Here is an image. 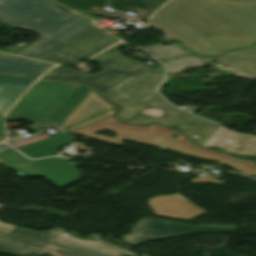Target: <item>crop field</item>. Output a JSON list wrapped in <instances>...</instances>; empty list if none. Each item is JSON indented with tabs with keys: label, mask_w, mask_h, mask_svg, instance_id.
<instances>
[{
	"label": "crop field",
	"mask_w": 256,
	"mask_h": 256,
	"mask_svg": "<svg viewBox=\"0 0 256 256\" xmlns=\"http://www.w3.org/2000/svg\"><path fill=\"white\" fill-rule=\"evenodd\" d=\"M151 23L193 54L216 56L256 41V0H171Z\"/></svg>",
	"instance_id": "crop-field-1"
},
{
	"label": "crop field",
	"mask_w": 256,
	"mask_h": 256,
	"mask_svg": "<svg viewBox=\"0 0 256 256\" xmlns=\"http://www.w3.org/2000/svg\"><path fill=\"white\" fill-rule=\"evenodd\" d=\"M162 77L161 72L150 69L102 97L118 109L120 122L141 125L158 122L202 146L219 126L165 102L154 90Z\"/></svg>",
	"instance_id": "crop-field-2"
},
{
	"label": "crop field",
	"mask_w": 256,
	"mask_h": 256,
	"mask_svg": "<svg viewBox=\"0 0 256 256\" xmlns=\"http://www.w3.org/2000/svg\"><path fill=\"white\" fill-rule=\"evenodd\" d=\"M111 107L84 86L40 80L10 111L7 120L37 123L46 118V122L64 129Z\"/></svg>",
	"instance_id": "crop-field-3"
},
{
	"label": "crop field",
	"mask_w": 256,
	"mask_h": 256,
	"mask_svg": "<svg viewBox=\"0 0 256 256\" xmlns=\"http://www.w3.org/2000/svg\"><path fill=\"white\" fill-rule=\"evenodd\" d=\"M0 20L39 35L38 42L17 53L33 59L94 27L46 0H0Z\"/></svg>",
	"instance_id": "crop-field-4"
},
{
	"label": "crop field",
	"mask_w": 256,
	"mask_h": 256,
	"mask_svg": "<svg viewBox=\"0 0 256 256\" xmlns=\"http://www.w3.org/2000/svg\"><path fill=\"white\" fill-rule=\"evenodd\" d=\"M118 48L116 45L91 59L103 65V70L95 75H87L63 66H57L50 70L43 79L79 82L95 89L101 95L124 80L149 68L124 57Z\"/></svg>",
	"instance_id": "crop-field-5"
},
{
	"label": "crop field",
	"mask_w": 256,
	"mask_h": 256,
	"mask_svg": "<svg viewBox=\"0 0 256 256\" xmlns=\"http://www.w3.org/2000/svg\"><path fill=\"white\" fill-rule=\"evenodd\" d=\"M0 160L23 177L44 176L60 188L80 178L79 170L61 157L29 161L12 149L0 154Z\"/></svg>",
	"instance_id": "crop-field-6"
},
{
	"label": "crop field",
	"mask_w": 256,
	"mask_h": 256,
	"mask_svg": "<svg viewBox=\"0 0 256 256\" xmlns=\"http://www.w3.org/2000/svg\"><path fill=\"white\" fill-rule=\"evenodd\" d=\"M237 226H193L174 222L142 218L130 231L123 236V242L130 245L151 240L166 239L193 233L232 232Z\"/></svg>",
	"instance_id": "crop-field-7"
},
{
	"label": "crop field",
	"mask_w": 256,
	"mask_h": 256,
	"mask_svg": "<svg viewBox=\"0 0 256 256\" xmlns=\"http://www.w3.org/2000/svg\"><path fill=\"white\" fill-rule=\"evenodd\" d=\"M116 41H118L116 38L99 31L95 27L41 59L53 63L75 61L94 55ZM69 57H72V59H69Z\"/></svg>",
	"instance_id": "crop-field-8"
},
{
	"label": "crop field",
	"mask_w": 256,
	"mask_h": 256,
	"mask_svg": "<svg viewBox=\"0 0 256 256\" xmlns=\"http://www.w3.org/2000/svg\"><path fill=\"white\" fill-rule=\"evenodd\" d=\"M53 244L102 256H139L107 241L85 240L66 231L60 233Z\"/></svg>",
	"instance_id": "crop-field-9"
},
{
	"label": "crop field",
	"mask_w": 256,
	"mask_h": 256,
	"mask_svg": "<svg viewBox=\"0 0 256 256\" xmlns=\"http://www.w3.org/2000/svg\"><path fill=\"white\" fill-rule=\"evenodd\" d=\"M203 146H218L225 151L256 157V136L236 133L221 126Z\"/></svg>",
	"instance_id": "crop-field-10"
},
{
	"label": "crop field",
	"mask_w": 256,
	"mask_h": 256,
	"mask_svg": "<svg viewBox=\"0 0 256 256\" xmlns=\"http://www.w3.org/2000/svg\"><path fill=\"white\" fill-rule=\"evenodd\" d=\"M196 57L203 62L215 60L243 75L256 78V44L248 48L230 50L219 57Z\"/></svg>",
	"instance_id": "crop-field-11"
},
{
	"label": "crop field",
	"mask_w": 256,
	"mask_h": 256,
	"mask_svg": "<svg viewBox=\"0 0 256 256\" xmlns=\"http://www.w3.org/2000/svg\"><path fill=\"white\" fill-rule=\"evenodd\" d=\"M50 66L52 65L0 52V74L36 78Z\"/></svg>",
	"instance_id": "crop-field-12"
},
{
	"label": "crop field",
	"mask_w": 256,
	"mask_h": 256,
	"mask_svg": "<svg viewBox=\"0 0 256 256\" xmlns=\"http://www.w3.org/2000/svg\"><path fill=\"white\" fill-rule=\"evenodd\" d=\"M0 252L15 256L47 254L48 244L0 233Z\"/></svg>",
	"instance_id": "crop-field-13"
},
{
	"label": "crop field",
	"mask_w": 256,
	"mask_h": 256,
	"mask_svg": "<svg viewBox=\"0 0 256 256\" xmlns=\"http://www.w3.org/2000/svg\"><path fill=\"white\" fill-rule=\"evenodd\" d=\"M33 81L32 79L0 76V114L4 115Z\"/></svg>",
	"instance_id": "crop-field-14"
},
{
	"label": "crop field",
	"mask_w": 256,
	"mask_h": 256,
	"mask_svg": "<svg viewBox=\"0 0 256 256\" xmlns=\"http://www.w3.org/2000/svg\"><path fill=\"white\" fill-rule=\"evenodd\" d=\"M74 139V137L62 132L60 135L48 140L40 141L31 145L19 148L25 155L32 158H39L56 154L57 147ZM73 141V140H72Z\"/></svg>",
	"instance_id": "crop-field-15"
},
{
	"label": "crop field",
	"mask_w": 256,
	"mask_h": 256,
	"mask_svg": "<svg viewBox=\"0 0 256 256\" xmlns=\"http://www.w3.org/2000/svg\"><path fill=\"white\" fill-rule=\"evenodd\" d=\"M167 65L166 73H180L182 70L191 68V67H199L205 65L199 59L193 56H181L176 57L175 59L167 60L164 62Z\"/></svg>",
	"instance_id": "crop-field-16"
},
{
	"label": "crop field",
	"mask_w": 256,
	"mask_h": 256,
	"mask_svg": "<svg viewBox=\"0 0 256 256\" xmlns=\"http://www.w3.org/2000/svg\"><path fill=\"white\" fill-rule=\"evenodd\" d=\"M59 231L60 230L52 228L51 230L43 233L25 228H13L11 233L50 243Z\"/></svg>",
	"instance_id": "crop-field-17"
},
{
	"label": "crop field",
	"mask_w": 256,
	"mask_h": 256,
	"mask_svg": "<svg viewBox=\"0 0 256 256\" xmlns=\"http://www.w3.org/2000/svg\"><path fill=\"white\" fill-rule=\"evenodd\" d=\"M145 49L155 55L161 61L168 59L174 55H186L173 43L168 45L167 47H165L164 45H154Z\"/></svg>",
	"instance_id": "crop-field-18"
},
{
	"label": "crop field",
	"mask_w": 256,
	"mask_h": 256,
	"mask_svg": "<svg viewBox=\"0 0 256 256\" xmlns=\"http://www.w3.org/2000/svg\"><path fill=\"white\" fill-rule=\"evenodd\" d=\"M51 255L52 256H97V255H92V254L70 250V249L53 246V245H51Z\"/></svg>",
	"instance_id": "crop-field-19"
},
{
	"label": "crop field",
	"mask_w": 256,
	"mask_h": 256,
	"mask_svg": "<svg viewBox=\"0 0 256 256\" xmlns=\"http://www.w3.org/2000/svg\"><path fill=\"white\" fill-rule=\"evenodd\" d=\"M114 114H116V110H115V109L112 110V111H110V112H107V113H105V114L99 115V116H97V117H95V118H92V119H90V120H87V121H85V122H83V123H80V124H78V125H76V126L70 127V128H68L66 131H71V130H73V129L79 128V127H81V126L87 125V124H89V123L95 122V121H97V120L103 119V118H105V117H108V116H111V115H114Z\"/></svg>",
	"instance_id": "crop-field-20"
},
{
	"label": "crop field",
	"mask_w": 256,
	"mask_h": 256,
	"mask_svg": "<svg viewBox=\"0 0 256 256\" xmlns=\"http://www.w3.org/2000/svg\"><path fill=\"white\" fill-rule=\"evenodd\" d=\"M167 0H144L148 10L152 13L155 9L165 3Z\"/></svg>",
	"instance_id": "crop-field-21"
},
{
	"label": "crop field",
	"mask_w": 256,
	"mask_h": 256,
	"mask_svg": "<svg viewBox=\"0 0 256 256\" xmlns=\"http://www.w3.org/2000/svg\"><path fill=\"white\" fill-rule=\"evenodd\" d=\"M48 137H50V136H48L46 134H43V135L36 136V137L30 138V139H27V140H23V141H20V142H17V143H13V144H10V145L13 146V147H16V146H20V145H23V144H27V143L37 141V140H40V139H44V138H48Z\"/></svg>",
	"instance_id": "crop-field-22"
},
{
	"label": "crop field",
	"mask_w": 256,
	"mask_h": 256,
	"mask_svg": "<svg viewBox=\"0 0 256 256\" xmlns=\"http://www.w3.org/2000/svg\"><path fill=\"white\" fill-rule=\"evenodd\" d=\"M43 133H45V132L44 131L37 132V133L31 134V136L26 137V138H30V137H33V136H36V135H40V134H43ZM26 138H24L22 136L16 137V138H12V139L7 140V143L10 144V143L17 142V141H20V140H23V139H26Z\"/></svg>",
	"instance_id": "crop-field-23"
},
{
	"label": "crop field",
	"mask_w": 256,
	"mask_h": 256,
	"mask_svg": "<svg viewBox=\"0 0 256 256\" xmlns=\"http://www.w3.org/2000/svg\"><path fill=\"white\" fill-rule=\"evenodd\" d=\"M14 225L5 224L0 222V231L10 233Z\"/></svg>",
	"instance_id": "crop-field-24"
},
{
	"label": "crop field",
	"mask_w": 256,
	"mask_h": 256,
	"mask_svg": "<svg viewBox=\"0 0 256 256\" xmlns=\"http://www.w3.org/2000/svg\"><path fill=\"white\" fill-rule=\"evenodd\" d=\"M0 141L5 139V129H4V122L3 117L0 116Z\"/></svg>",
	"instance_id": "crop-field-25"
},
{
	"label": "crop field",
	"mask_w": 256,
	"mask_h": 256,
	"mask_svg": "<svg viewBox=\"0 0 256 256\" xmlns=\"http://www.w3.org/2000/svg\"><path fill=\"white\" fill-rule=\"evenodd\" d=\"M12 149L11 147L7 146L6 144H0V152Z\"/></svg>",
	"instance_id": "crop-field-26"
}]
</instances>
